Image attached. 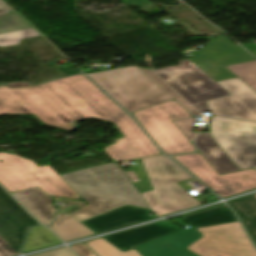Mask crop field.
Returning a JSON list of instances; mask_svg holds the SVG:
<instances>
[{"label":"crop field","instance_id":"obj_1","mask_svg":"<svg viewBox=\"0 0 256 256\" xmlns=\"http://www.w3.org/2000/svg\"><path fill=\"white\" fill-rule=\"evenodd\" d=\"M0 114H34L43 123L75 129L72 122L96 117L114 122L125 138L104 151L116 162L162 154L135 121L83 74L39 86L0 85Z\"/></svg>","mask_w":256,"mask_h":256},{"label":"crop field","instance_id":"obj_2","mask_svg":"<svg viewBox=\"0 0 256 256\" xmlns=\"http://www.w3.org/2000/svg\"><path fill=\"white\" fill-rule=\"evenodd\" d=\"M61 177L89 203L70 213L80 222L124 205L148 209L138 190L115 163L67 173Z\"/></svg>","mask_w":256,"mask_h":256},{"label":"crop field","instance_id":"obj_3","mask_svg":"<svg viewBox=\"0 0 256 256\" xmlns=\"http://www.w3.org/2000/svg\"><path fill=\"white\" fill-rule=\"evenodd\" d=\"M87 75L130 113L174 99L138 67Z\"/></svg>","mask_w":256,"mask_h":256},{"label":"crop field","instance_id":"obj_4","mask_svg":"<svg viewBox=\"0 0 256 256\" xmlns=\"http://www.w3.org/2000/svg\"><path fill=\"white\" fill-rule=\"evenodd\" d=\"M153 191L142 193L149 208L162 216L200 205L176 182L192 178L185 170L163 156L141 160Z\"/></svg>","mask_w":256,"mask_h":256},{"label":"crop field","instance_id":"obj_5","mask_svg":"<svg viewBox=\"0 0 256 256\" xmlns=\"http://www.w3.org/2000/svg\"><path fill=\"white\" fill-rule=\"evenodd\" d=\"M0 183L10 192L38 186L55 197L82 198L48 165L38 167L33 161L0 152Z\"/></svg>","mask_w":256,"mask_h":256},{"label":"crop field","instance_id":"obj_6","mask_svg":"<svg viewBox=\"0 0 256 256\" xmlns=\"http://www.w3.org/2000/svg\"><path fill=\"white\" fill-rule=\"evenodd\" d=\"M132 115L167 156L197 150L172 122L176 119L194 117L175 99Z\"/></svg>","mask_w":256,"mask_h":256},{"label":"crop field","instance_id":"obj_7","mask_svg":"<svg viewBox=\"0 0 256 256\" xmlns=\"http://www.w3.org/2000/svg\"><path fill=\"white\" fill-rule=\"evenodd\" d=\"M154 72L199 112L210 111L206 101L230 95L189 60L181 61L177 66L154 70Z\"/></svg>","mask_w":256,"mask_h":256},{"label":"crop field","instance_id":"obj_8","mask_svg":"<svg viewBox=\"0 0 256 256\" xmlns=\"http://www.w3.org/2000/svg\"><path fill=\"white\" fill-rule=\"evenodd\" d=\"M211 135L240 170L256 169V123L212 117Z\"/></svg>","mask_w":256,"mask_h":256},{"label":"crop field","instance_id":"obj_9","mask_svg":"<svg viewBox=\"0 0 256 256\" xmlns=\"http://www.w3.org/2000/svg\"><path fill=\"white\" fill-rule=\"evenodd\" d=\"M203 237L187 247L199 256H256L239 222L198 228Z\"/></svg>","mask_w":256,"mask_h":256},{"label":"crop field","instance_id":"obj_10","mask_svg":"<svg viewBox=\"0 0 256 256\" xmlns=\"http://www.w3.org/2000/svg\"><path fill=\"white\" fill-rule=\"evenodd\" d=\"M173 158L223 198L256 188L255 169L219 175L201 153Z\"/></svg>","mask_w":256,"mask_h":256},{"label":"crop field","instance_id":"obj_11","mask_svg":"<svg viewBox=\"0 0 256 256\" xmlns=\"http://www.w3.org/2000/svg\"><path fill=\"white\" fill-rule=\"evenodd\" d=\"M196 58L189 59L214 81L236 77L226 67L254 60L239 45H233L225 37L210 39L206 46L196 52Z\"/></svg>","mask_w":256,"mask_h":256},{"label":"crop field","instance_id":"obj_12","mask_svg":"<svg viewBox=\"0 0 256 256\" xmlns=\"http://www.w3.org/2000/svg\"><path fill=\"white\" fill-rule=\"evenodd\" d=\"M38 223L0 187V256L20 254L28 227Z\"/></svg>","mask_w":256,"mask_h":256},{"label":"crop field","instance_id":"obj_13","mask_svg":"<svg viewBox=\"0 0 256 256\" xmlns=\"http://www.w3.org/2000/svg\"><path fill=\"white\" fill-rule=\"evenodd\" d=\"M218 83L232 96L207 102L212 114L256 122V92L239 78Z\"/></svg>","mask_w":256,"mask_h":256},{"label":"crop field","instance_id":"obj_14","mask_svg":"<svg viewBox=\"0 0 256 256\" xmlns=\"http://www.w3.org/2000/svg\"><path fill=\"white\" fill-rule=\"evenodd\" d=\"M173 222H176L183 227L188 225L181 219ZM200 237H202V235L191 227L135 246L134 248L142 256H197L188 251L186 247Z\"/></svg>","mask_w":256,"mask_h":256},{"label":"crop field","instance_id":"obj_15","mask_svg":"<svg viewBox=\"0 0 256 256\" xmlns=\"http://www.w3.org/2000/svg\"><path fill=\"white\" fill-rule=\"evenodd\" d=\"M181 229L182 228L172 223L163 221L112 236L104 237V239L123 252H126L132 249L135 245L156 239Z\"/></svg>","mask_w":256,"mask_h":256},{"label":"crop field","instance_id":"obj_16","mask_svg":"<svg viewBox=\"0 0 256 256\" xmlns=\"http://www.w3.org/2000/svg\"><path fill=\"white\" fill-rule=\"evenodd\" d=\"M149 210L124 206L103 215L82 222L85 226L99 234L132 223L152 218ZM156 217V216H154Z\"/></svg>","mask_w":256,"mask_h":256},{"label":"crop field","instance_id":"obj_17","mask_svg":"<svg viewBox=\"0 0 256 256\" xmlns=\"http://www.w3.org/2000/svg\"><path fill=\"white\" fill-rule=\"evenodd\" d=\"M40 34L18 14L0 15V47L19 44L22 39Z\"/></svg>","mask_w":256,"mask_h":256},{"label":"crop field","instance_id":"obj_18","mask_svg":"<svg viewBox=\"0 0 256 256\" xmlns=\"http://www.w3.org/2000/svg\"><path fill=\"white\" fill-rule=\"evenodd\" d=\"M38 220L48 225L51 223L55 209L50 197L38 187L12 193Z\"/></svg>","mask_w":256,"mask_h":256},{"label":"crop field","instance_id":"obj_19","mask_svg":"<svg viewBox=\"0 0 256 256\" xmlns=\"http://www.w3.org/2000/svg\"><path fill=\"white\" fill-rule=\"evenodd\" d=\"M195 144L219 174L239 171L236 165L210 136V132L200 133L195 139Z\"/></svg>","mask_w":256,"mask_h":256},{"label":"crop field","instance_id":"obj_20","mask_svg":"<svg viewBox=\"0 0 256 256\" xmlns=\"http://www.w3.org/2000/svg\"><path fill=\"white\" fill-rule=\"evenodd\" d=\"M64 242L95 235L69 214H58L54 223L49 227Z\"/></svg>","mask_w":256,"mask_h":256},{"label":"crop field","instance_id":"obj_21","mask_svg":"<svg viewBox=\"0 0 256 256\" xmlns=\"http://www.w3.org/2000/svg\"><path fill=\"white\" fill-rule=\"evenodd\" d=\"M194 228L237 221L233 212L226 206L182 217Z\"/></svg>","mask_w":256,"mask_h":256},{"label":"crop field","instance_id":"obj_22","mask_svg":"<svg viewBox=\"0 0 256 256\" xmlns=\"http://www.w3.org/2000/svg\"><path fill=\"white\" fill-rule=\"evenodd\" d=\"M242 220L246 230L256 244V198L251 195L228 202Z\"/></svg>","mask_w":256,"mask_h":256},{"label":"crop field","instance_id":"obj_23","mask_svg":"<svg viewBox=\"0 0 256 256\" xmlns=\"http://www.w3.org/2000/svg\"><path fill=\"white\" fill-rule=\"evenodd\" d=\"M61 242L44 226L31 228L29 236L23 246V253L60 244Z\"/></svg>","mask_w":256,"mask_h":256},{"label":"crop field","instance_id":"obj_24","mask_svg":"<svg viewBox=\"0 0 256 256\" xmlns=\"http://www.w3.org/2000/svg\"><path fill=\"white\" fill-rule=\"evenodd\" d=\"M87 244L99 256H140L134 249L123 253L103 238L90 241Z\"/></svg>","mask_w":256,"mask_h":256},{"label":"crop field","instance_id":"obj_25","mask_svg":"<svg viewBox=\"0 0 256 256\" xmlns=\"http://www.w3.org/2000/svg\"><path fill=\"white\" fill-rule=\"evenodd\" d=\"M227 68L256 91V60Z\"/></svg>","mask_w":256,"mask_h":256},{"label":"crop field","instance_id":"obj_26","mask_svg":"<svg viewBox=\"0 0 256 256\" xmlns=\"http://www.w3.org/2000/svg\"><path fill=\"white\" fill-rule=\"evenodd\" d=\"M147 75H149L153 80H155L161 87H163L170 95H172L177 101H179L183 106H185L190 112H192L195 116L200 115L196 110H194L188 103H186L179 95H177L174 91H172L168 86H166L160 79H158L151 70L147 68L141 69ZM191 113V114H192ZM192 114V115H193Z\"/></svg>","mask_w":256,"mask_h":256},{"label":"crop field","instance_id":"obj_27","mask_svg":"<svg viewBox=\"0 0 256 256\" xmlns=\"http://www.w3.org/2000/svg\"><path fill=\"white\" fill-rule=\"evenodd\" d=\"M195 118L191 119H182L173 121L184 133L185 135L192 141L193 138L196 136L197 132H192L194 125L193 122Z\"/></svg>","mask_w":256,"mask_h":256},{"label":"crop field","instance_id":"obj_28","mask_svg":"<svg viewBox=\"0 0 256 256\" xmlns=\"http://www.w3.org/2000/svg\"><path fill=\"white\" fill-rule=\"evenodd\" d=\"M33 256H76L67 247L33 255Z\"/></svg>","mask_w":256,"mask_h":256},{"label":"crop field","instance_id":"obj_29","mask_svg":"<svg viewBox=\"0 0 256 256\" xmlns=\"http://www.w3.org/2000/svg\"><path fill=\"white\" fill-rule=\"evenodd\" d=\"M71 248L79 255V256H96L88 247H86L83 243L71 246Z\"/></svg>","mask_w":256,"mask_h":256},{"label":"crop field","instance_id":"obj_30","mask_svg":"<svg viewBox=\"0 0 256 256\" xmlns=\"http://www.w3.org/2000/svg\"><path fill=\"white\" fill-rule=\"evenodd\" d=\"M246 49L251 50V49H255L256 45L255 44H247V45H243ZM251 53L256 57V50L251 51Z\"/></svg>","mask_w":256,"mask_h":256},{"label":"crop field","instance_id":"obj_31","mask_svg":"<svg viewBox=\"0 0 256 256\" xmlns=\"http://www.w3.org/2000/svg\"><path fill=\"white\" fill-rule=\"evenodd\" d=\"M8 8L3 5L1 2H0V14H4V13H7L8 12Z\"/></svg>","mask_w":256,"mask_h":256},{"label":"crop field","instance_id":"obj_32","mask_svg":"<svg viewBox=\"0 0 256 256\" xmlns=\"http://www.w3.org/2000/svg\"><path fill=\"white\" fill-rule=\"evenodd\" d=\"M224 205H225V204L218 205V206H214V207H210V208H206V209H202V210H199V211H196V212H193V213H189V214H186V215L194 214V213H197V212L209 210V209L216 208V207H220V206H224ZM186 215H183V216H186ZM180 217H182V216H180Z\"/></svg>","mask_w":256,"mask_h":256},{"label":"crop field","instance_id":"obj_33","mask_svg":"<svg viewBox=\"0 0 256 256\" xmlns=\"http://www.w3.org/2000/svg\"><path fill=\"white\" fill-rule=\"evenodd\" d=\"M254 196L256 197V194H254Z\"/></svg>","mask_w":256,"mask_h":256}]
</instances>
